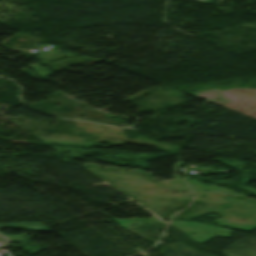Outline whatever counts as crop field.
Instances as JSON below:
<instances>
[{"label":"crop field","instance_id":"8a807250","mask_svg":"<svg viewBox=\"0 0 256 256\" xmlns=\"http://www.w3.org/2000/svg\"><path fill=\"white\" fill-rule=\"evenodd\" d=\"M11 241L0 232V243H10Z\"/></svg>","mask_w":256,"mask_h":256}]
</instances>
